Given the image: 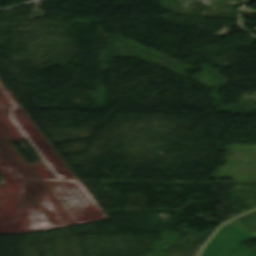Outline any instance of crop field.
Masks as SVG:
<instances>
[{"label": "crop field", "mask_w": 256, "mask_h": 256, "mask_svg": "<svg viewBox=\"0 0 256 256\" xmlns=\"http://www.w3.org/2000/svg\"><path fill=\"white\" fill-rule=\"evenodd\" d=\"M229 225H223L206 243L200 256H256V253L228 237Z\"/></svg>", "instance_id": "crop-field-1"}, {"label": "crop field", "mask_w": 256, "mask_h": 256, "mask_svg": "<svg viewBox=\"0 0 256 256\" xmlns=\"http://www.w3.org/2000/svg\"><path fill=\"white\" fill-rule=\"evenodd\" d=\"M245 9H248V8H245Z\"/></svg>", "instance_id": "crop-field-5"}, {"label": "crop field", "mask_w": 256, "mask_h": 256, "mask_svg": "<svg viewBox=\"0 0 256 256\" xmlns=\"http://www.w3.org/2000/svg\"><path fill=\"white\" fill-rule=\"evenodd\" d=\"M230 224H232V223H230ZM230 236L234 237L235 239H237L241 242L256 238L255 235L235 226L234 224H232Z\"/></svg>", "instance_id": "crop-field-2"}, {"label": "crop field", "mask_w": 256, "mask_h": 256, "mask_svg": "<svg viewBox=\"0 0 256 256\" xmlns=\"http://www.w3.org/2000/svg\"><path fill=\"white\" fill-rule=\"evenodd\" d=\"M241 12H244V13H250V14H255V13H252V12H246V11H241Z\"/></svg>", "instance_id": "crop-field-3"}, {"label": "crop field", "mask_w": 256, "mask_h": 256, "mask_svg": "<svg viewBox=\"0 0 256 256\" xmlns=\"http://www.w3.org/2000/svg\"><path fill=\"white\" fill-rule=\"evenodd\" d=\"M253 31H256V28L252 29Z\"/></svg>", "instance_id": "crop-field-4"}]
</instances>
